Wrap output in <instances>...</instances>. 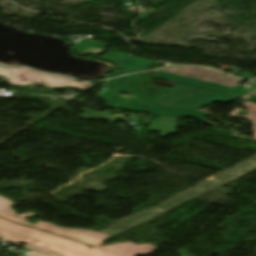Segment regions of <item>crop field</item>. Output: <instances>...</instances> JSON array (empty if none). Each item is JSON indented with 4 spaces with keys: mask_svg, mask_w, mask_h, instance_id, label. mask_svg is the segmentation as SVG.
Here are the masks:
<instances>
[{
    "mask_svg": "<svg viewBox=\"0 0 256 256\" xmlns=\"http://www.w3.org/2000/svg\"><path fill=\"white\" fill-rule=\"evenodd\" d=\"M34 213L30 214H22L18 215L13 209L10 207L0 211V216L10 219L16 223L31 226L37 229H41L47 232H51L60 236H64L67 238H71L77 241H81L93 246H100V244L103 242L105 238H107L109 235H106L104 233L90 231V230H84V229H66L62 227H57L54 224L38 221L36 224L32 225L29 224L26 220L23 218L33 216Z\"/></svg>",
    "mask_w": 256,
    "mask_h": 256,
    "instance_id": "4",
    "label": "crop field"
},
{
    "mask_svg": "<svg viewBox=\"0 0 256 256\" xmlns=\"http://www.w3.org/2000/svg\"><path fill=\"white\" fill-rule=\"evenodd\" d=\"M69 86H74V87H79V88H85L88 89L90 88L92 85L90 83H83V82H73L71 85Z\"/></svg>",
    "mask_w": 256,
    "mask_h": 256,
    "instance_id": "11",
    "label": "crop field"
},
{
    "mask_svg": "<svg viewBox=\"0 0 256 256\" xmlns=\"http://www.w3.org/2000/svg\"><path fill=\"white\" fill-rule=\"evenodd\" d=\"M246 107L249 109L250 113L247 116H234L237 112L235 110L230 116L228 117H248L249 120H251L254 124L255 127L253 128L256 131V105L251 104V103H244Z\"/></svg>",
    "mask_w": 256,
    "mask_h": 256,
    "instance_id": "10",
    "label": "crop field"
},
{
    "mask_svg": "<svg viewBox=\"0 0 256 256\" xmlns=\"http://www.w3.org/2000/svg\"><path fill=\"white\" fill-rule=\"evenodd\" d=\"M0 75L8 78L11 85H29L33 82H41L49 87H61L69 85L73 79L51 74H41L26 68H4L0 66Z\"/></svg>",
    "mask_w": 256,
    "mask_h": 256,
    "instance_id": "5",
    "label": "crop field"
},
{
    "mask_svg": "<svg viewBox=\"0 0 256 256\" xmlns=\"http://www.w3.org/2000/svg\"><path fill=\"white\" fill-rule=\"evenodd\" d=\"M0 237L56 256H133L153 252L157 247L149 244L135 245L131 242L89 248L85 245L56 237L32 228L14 224L0 218Z\"/></svg>",
    "mask_w": 256,
    "mask_h": 256,
    "instance_id": "1",
    "label": "crop field"
},
{
    "mask_svg": "<svg viewBox=\"0 0 256 256\" xmlns=\"http://www.w3.org/2000/svg\"><path fill=\"white\" fill-rule=\"evenodd\" d=\"M162 120V127L157 125ZM178 119H156L151 122L150 131L161 132L160 137L164 138L169 133H175ZM166 121V123H164Z\"/></svg>",
    "mask_w": 256,
    "mask_h": 256,
    "instance_id": "7",
    "label": "crop field"
},
{
    "mask_svg": "<svg viewBox=\"0 0 256 256\" xmlns=\"http://www.w3.org/2000/svg\"><path fill=\"white\" fill-rule=\"evenodd\" d=\"M74 46H75L76 53L81 54L91 46L97 47V48H100V49H104L106 46H108V44L96 43V42L82 40V41L74 44Z\"/></svg>",
    "mask_w": 256,
    "mask_h": 256,
    "instance_id": "8",
    "label": "crop field"
},
{
    "mask_svg": "<svg viewBox=\"0 0 256 256\" xmlns=\"http://www.w3.org/2000/svg\"><path fill=\"white\" fill-rule=\"evenodd\" d=\"M154 76L223 93L243 81L203 67H167Z\"/></svg>",
    "mask_w": 256,
    "mask_h": 256,
    "instance_id": "3",
    "label": "crop field"
},
{
    "mask_svg": "<svg viewBox=\"0 0 256 256\" xmlns=\"http://www.w3.org/2000/svg\"><path fill=\"white\" fill-rule=\"evenodd\" d=\"M129 72H125V71H121V72H117L115 74H112V77L116 76V75H123V74H127Z\"/></svg>",
    "mask_w": 256,
    "mask_h": 256,
    "instance_id": "13",
    "label": "crop field"
},
{
    "mask_svg": "<svg viewBox=\"0 0 256 256\" xmlns=\"http://www.w3.org/2000/svg\"><path fill=\"white\" fill-rule=\"evenodd\" d=\"M95 0H86L85 2L93 3Z\"/></svg>",
    "mask_w": 256,
    "mask_h": 256,
    "instance_id": "15",
    "label": "crop field"
},
{
    "mask_svg": "<svg viewBox=\"0 0 256 256\" xmlns=\"http://www.w3.org/2000/svg\"><path fill=\"white\" fill-rule=\"evenodd\" d=\"M10 204H12L11 201H9L8 199H6V198L0 196V209L3 208V207H5V206H7V205H10ZM7 207H8V206H7Z\"/></svg>",
    "mask_w": 256,
    "mask_h": 256,
    "instance_id": "12",
    "label": "crop field"
},
{
    "mask_svg": "<svg viewBox=\"0 0 256 256\" xmlns=\"http://www.w3.org/2000/svg\"><path fill=\"white\" fill-rule=\"evenodd\" d=\"M83 111H86V110H83ZM86 112H89L90 114H86ZM83 115H80L79 118H84V119H106V120H112L114 121V119H120L119 116H113V115H109V114H106V113H101V112H92V111H86ZM116 117V118H113V117Z\"/></svg>",
    "mask_w": 256,
    "mask_h": 256,
    "instance_id": "9",
    "label": "crop field"
},
{
    "mask_svg": "<svg viewBox=\"0 0 256 256\" xmlns=\"http://www.w3.org/2000/svg\"><path fill=\"white\" fill-rule=\"evenodd\" d=\"M98 58L117 64L119 69L131 71V72L142 71L148 68L149 66L155 64L152 62L135 58L133 56L115 53L111 51L105 53L104 55Z\"/></svg>",
    "mask_w": 256,
    "mask_h": 256,
    "instance_id": "6",
    "label": "crop field"
},
{
    "mask_svg": "<svg viewBox=\"0 0 256 256\" xmlns=\"http://www.w3.org/2000/svg\"><path fill=\"white\" fill-rule=\"evenodd\" d=\"M248 100H251V101H253V102H256V94L253 95L252 97H250Z\"/></svg>",
    "mask_w": 256,
    "mask_h": 256,
    "instance_id": "14",
    "label": "crop field"
},
{
    "mask_svg": "<svg viewBox=\"0 0 256 256\" xmlns=\"http://www.w3.org/2000/svg\"><path fill=\"white\" fill-rule=\"evenodd\" d=\"M235 98L215 92L180 85L147 112L159 117L181 118L192 117L202 122L209 113L195 110L213 101L229 102ZM210 105V104H209Z\"/></svg>",
    "mask_w": 256,
    "mask_h": 256,
    "instance_id": "2",
    "label": "crop field"
}]
</instances>
